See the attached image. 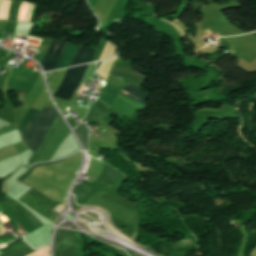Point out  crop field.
I'll use <instances>...</instances> for the list:
<instances>
[{"label":"crop field","mask_w":256,"mask_h":256,"mask_svg":"<svg viewBox=\"0 0 256 256\" xmlns=\"http://www.w3.org/2000/svg\"><path fill=\"white\" fill-rule=\"evenodd\" d=\"M29 247L25 242H20L14 246H12L7 252H5L3 255L1 256H13L14 254H16L17 252L25 249Z\"/></svg>","instance_id":"22f410ed"},{"label":"crop field","mask_w":256,"mask_h":256,"mask_svg":"<svg viewBox=\"0 0 256 256\" xmlns=\"http://www.w3.org/2000/svg\"><path fill=\"white\" fill-rule=\"evenodd\" d=\"M66 43L52 40L40 64L44 71L54 70Z\"/></svg>","instance_id":"412701ff"},{"label":"crop field","mask_w":256,"mask_h":256,"mask_svg":"<svg viewBox=\"0 0 256 256\" xmlns=\"http://www.w3.org/2000/svg\"><path fill=\"white\" fill-rule=\"evenodd\" d=\"M39 110L30 109L26 114L25 118L23 119L22 123L20 124L18 130L20 132V136L22 137L31 127L32 123L36 119L37 115L39 114Z\"/></svg>","instance_id":"3316defc"},{"label":"crop field","mask_w":256,"mask_h":256,"mask_svg":"<svg viewBox=\"0 0 256 256\" xmlns=\"http://www.w3.org/2000/svg\"><path fill=\"white\" fill-rule=\"evenodd\" d=\"M118 97H120L121 99L126 100V101H128V102H130V103H132L133 105H135L136 107H138V108H140V109L146 108V106H144V105H142V104H139V103H137V102H135V101H133V100H131V99H129V98H127V97L121 95V94H118Z\"/></svg>","instance_id":"733c2abd"},{"label":"crop field","mask_w":256,"mask_h":256,"mask_svg":"<svg viewBox=\"0 0 256 256\" xmlns=\"http://www.w3.org/2000/svg\"><path fill=\"white\" fill-rule=\"evenodd\" d=\"M48 251H49V246H45L44 248L28 256H48Z\"/></svg>","instance_id":"d9b57169"},{"label":"crop field","mask_w":256,"mask_h":256,"mask_svg":"<svg viewBox=\"0 0 256 256\" xmlns=\"http://www.w3.org/2000/svg\"><path fill=\"white\" fill-rule=\"evenodd\" d=\"M252 34L256 35V33H252Z\"/></svg>","instance_id":"4a817a6b"},{"label":"crop field","mask_w":256,"mask_h":256,"mask_svg":"<svg viewBox=\"0 0 256 256\" xmlns=\"http://www.w3.org/2000/svg\"><path fill=\"white\" fill-rule=\"evenodd\" d=\"M74 131L86 149V147H87V128H85L83 125L80 124Z\"/></svg>","instance_id":"d1516ede"},{"label":"crop field","mask_w":256,"mask_h":256,"mask_svg":"<svg viewBox=\"0 0 256 256\" xmlns=\"http://www.w3.org/2000/svg\"><path fill=\"white\" fill-rule=\"evenodd\" d=\"M122 94L144 104V100L148 99V95L131 84L126 85L121 92Z\"/></svg>","instance_id":"d8731c3e"},{"label":"crop field","mask_w":256,"mask_h":256,"mask_svg":"<svg viewBox=\"0 0 256 256\" xmlns=\"http://www.w3.org/2000/svg\"><path fill=\"white\" fill-rule=\"evenodd\" d=\"M113 72H116L120 75H123L131 80H134L140 84H144L145 80H146V77L140 75V74H137L136 72L134 71H131V70H128L126 68H123V67H120L118 65H115L113 66L112 70Z\"/></svg>","instance_id":"5a996713"},{"label":"crop field","mask_w":256,"mask_h":256,"mask_svg":"<svg viewBox=\"0 0 256 256\" xmlns=\"http://www.w3.org/2000/svg\"><path fill=\"white\" fill-rule=\"evenodd\" d=\"M77 48L78 46L67 43L55 70L68 67Z\"/></svg>","instance_id":"e52e79f7"},{"label":"crop field","mask_w":256,"mask_h":256,"mask_svg":"<svg viewBox=\"0 0 256 256\" xmlns=\"http://www.w3.org/2000/svg\"><path fill=\"white\" fill-rule=\"evenodd\" d=\"M107 82H109L117 87H121V88L125 84V81H122V80H119V79H116V78H113L110 76L108 77ZM109 83H106L105 88L99 97V100L108 102V104H107L108 106H110L112 101L117 96L118 92H120V90H121V88L114 87V86L110 85Z\"/></svg>","instance_id":"f4fd0767"},{"label":"crop field","mask_w":256,"mask_h":256,"mask_svg":"<svg viewBox=\"0 0 256 256\" xmlns=\"http://www.w3.org/2000/svg\"><path fill=\"white\" fill-rule=\"evenodd\" d=\"M56 114V109L44 107L42 112L39 114V116L33 123L30 130L22 138V140L27 144L32 153L35 152L38 148L42 138L44 137L50 125L52 124Z\"/></svg>","instance_id":"8a807250"},{"label":"crop field","mask_w":256,"mask_h":256,"mask_svg":"<svg viewBox=\"0 0 256 256\" xmlns=\"http://www.w3.org/2000/svg\"><path fill=\"white\" fill-rule=\"evenodd\" d=\"M28 7H29V6L22 4L21 10H20V14H19V18H18V19L25 20V16H26ZM32 8H33V7H31V6L29 7V11H28V14H27V16H26V20H30V14H31Z\"/></svg>","instance_id":"cbeb9de0"},{"label":"crop field","mask_w":256,"mask_h":256,"mask_svg":"<svg viewBox=\"0 0 256 256\" xmlns=\"http://www.w3.org/2000/svg\"><path fill=\"white\" fill-rule=\"evenodd\" d=\"M94 53H95V50L93 49L79 46L77 52L75 53L72 59L70 67L91 62Z\"/></svg>","instance_id":"dd49c442"},{"label":"crop field","mask_w":256,"mask_h":256,"mask_svg":"<svg viewBox=\"0 0 256 256\" xmlns=\"http://www.w3.org/2000/svg\"><path fill=\"white\" fill-rule=\"evenodd\" d=\"M18 200L25 203L54 223L56 214L51 210L56 207L59 202L51 201L32 189Z\"/></svg>","instance_id":"ac0d7876"},{"label":"crop field","mask_w":256,"mask_h":256,"mask_svg":"<svg viewBox=\"0 0 256 256\" xmlns=\"http://www.w3.org/2000/svg\"><path fill=\"white\" fill-rule=\"evenodd\" d=\"M87 66L88 64L68 69L63 81L55 92L54 97L69 101L75 92Z\"/></svg>","instance_id":"34b2d1b8"},{"label":"crop field","mask_w":256,"mask_h":256,"mask_svg":"<svg viewBox=\"0 0 256 256\" xmlns=\"http://www.w3.org/2000/svg\"><path fill=\"white\" fill-rule=\"evenodd\" d=\"M93 66H94V64H90V65H89V67H88V69H87V71H86V73H85V75H84V77H83L82 82L80 83V85L78 86V88H77V90H76V93L78 92V90H79L81 84H82V83H86V81H87V79H88V77H89V75H90V73H91V71H92ZM84 86H85V84L82 85V87L80 88V90H79V92H78L77 94H81V92H82Z\"/></svg>","instance_id":"5142ce71"},{"label":"crop field","mask_w":256,"mask_h":256,"mask_svg":"<svg viewBox=\"0 0 256 256\" xmlns=\"http://www.w3.org/2000/svg\"><path fill=\"white\" fill-rule=\"evenodd\" d=\"M104 115H106V114L102 113L101 111L96 109L94 106H92L91 109L89 110L88 115L85 118V120L97 123V122H99L101 120V118Z\"/></svg>","instance_id":"28ad6ade"}]
</instances>
